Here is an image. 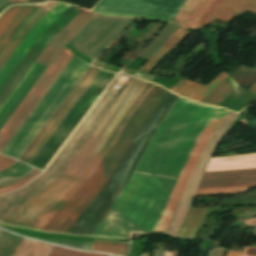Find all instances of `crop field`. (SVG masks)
<instances>
[{
	"label": "crop field",
	"instance_id": "1",
	"mask_svg": "<svg viewBox=\"0 0 256 256\" xmlns=\"http://www.w3.org/2000/svg\"><path fill=\"white\" fill-rule=\"evenodd\" d=\"M215 109L179 100L158 127L137 168L178 178L191 147ZM136 169L92 235L152 232L177 179Z\"/></svg>",
	"mask_w": 256,
	"mask_h": 256
},
{
	"label": "crop field",
	"instance_id": "2",
	"mask_svg": "<svg viewBox=\"0 0 256 256\" xmlns=\"http://www.w3.org/2000/svg\"><path fill=\"white\" fill-rule=\"evenodd\" d=\"M145 84L146 82L133 78L63 174L81 176L116 123ZM78 178L76 176L61 175L2 222L28 227Z\"/></svg>",
	"mask_w": 256,
	"mask_h": 256
},
{
	"label": "crop field",
	"instance_id": "3",
	"mask_svg": "<svg viewBox=\"0 0 256 256\" xmlns=\"http://www.w3.org/2000/svg\"><path fill=\"white\" fill-rule=\"evenodd\" d=\"M166 91L154 86L135 110L91 178L42 229L65 233L111 176L139 127Z\"/></svg>",
	"mask_w": 256,
	"mask_h": 256
},
{
	"label": "crop field",
	"instance_id": "4",
	"mask_svg": "<svg viewBox=\"0 0 256 256\" xmlns=\"http://www.w3.org/2000/svg\"><path fill=\"white\" fill-rule=\"evenodd\" d=\"M87 67L73 56L1 153L19 159Z\"/></svg>",
	"mask_w": 256,
	"mask_h": 256
},
{
	"label": "crop field",
	"instance_id": "5",
	"mask_svg": "<svg viewBox=\"0 0 256 256\" xmlns=\"http://www.w3.org/2000/svg\"><path fill=\"white\" fill-rule=\"evenodd\" d=\"M68 6L69 5L67 4L59 2L48 13L39 9L16 32V34L13 36V38L10 40V42L0 54V72L47 13L44 19L40 22V24L36 27L33 33L29 36V38L25 41L22 47L18 50V52L14 55L11 61L0 73V91L4 88L7 82L11 79V77L15 74L18 68L32 52V50L36 47V45L45 36V34L49 31V29L58 20V18L62 15V13L67 9Z\"/></svg>",
	"mask_w": 256,
	"mask_h": 256
},
{
	"label": "crop field",
	"instance_id": "6",
	"mask_svg": "<svg viewBox=\"0 0 256 256\" xmlns=\"http://www.w3.org/2000/svg\"><path fill=\"white\" fill-rule=\"evenodd\" d=\"M95 15L92 13H88L86 11H81L47 46L44 52L39 56L36 60V63L44 65L48 67L60 49ZM39 65L34 64L16 88L12 91L3 105L0 107V117L4 113V111L8 108L11 102L15 99L21 89L25 86L28 80L32 77L35 71L38 69ZM46 67L40 66L33 77L29 80L26 86L22 89L16 99L12 102L9 108L5 111V113L0 118V128L7 121L22 99L26 96L41 74L45 71Z\"/></svg>",
	"mask_w": 256,
	"mask_h": 256
},
{
	"label": "crop field",
	"instance_id": "7",
	"mask_svg": "<svg viewBox=\"0 0 256 256\" xmlns=\"http://www.w3.org/2000/svg\"><path fill=\"white\" fill-rule=\"evenodd\" d=\"M114 73L100 70L78 101L74 104L56 130L52 133L30 165L42 170L81 117L101 93Z\"/></svg>",
	"mask_w": 256,
	"mask_h": 256
},
{
	"label": "crop field",
	"instance_id": "8",
	"mask_svg": "<svg viewBox=\"0 0 256 256\" xmlns=\"http://www.w3.org/2000/svg\"><path fill=\"white\" fill-rule=\"evenodd\" d=\"M132 20L96 14L67 44L93 60Z\"/></svg>",
	"mask_w": 256,
	"mask_h": 256
},
{
	"label": "crop field",
	"instance_id": "9",
	"mask_svg": "<svg viewBox=\"0 0 256 256\" xmlns=\"http://www.w3.org/2000/svg\"><path fill=\"white\" fill-rule=\"evenodd\" d=\"M73 55L64 46L52 61L35 86L0 130V151Z\"/></svg>",
	"mask_w": 256,
	"mask_h": 256
},
{
	"label": "crop field",
	"instance_id": "10",
	"mask_svg": "<svg viewBox=\"0 0 256 256\" xmlns=\"http://www.w3.org/2000/svg\"><path fill=\"white\" fill-rule=\"evenodd\" d=\"M151 86L152 84H146V86L143 88V90L140 92V94L122 116V118L120 119L104 145L101 147L83 176L80 177L79 180L69 190H67L53 205H51L35 222H33L29 226L30 228L41 230L47 224V222L61 209V207L76 193V191L89 179V177L92 175L93 171L101 161L102 157L108 150L109 146L115 139L116 135L124 125L125 121L139 104V102L142 100V98L145 96V94L148 92V90L151 88Z\"/></svg>",
	"mask_w": 256,
	"mask_h": 256
},
{
	"label": "crop field",
	"instance_id": "11",
	"mask_svg": "<svg viewBox=\"0 0 256 256\" xmlns=\"http://www.w3.org/2000/svg\"><path fill=\"white\" fill-rule=\"evenodd\" d=\"M228 111L224 109H219V111L216 113V115L213 117L212 121H216L221 123V121L224 119V117L227 115ZM210 121V123L207 125V127L204 129V131L199 136L190 156L189 159L180 175V178L170 196V199L167 203V206L163 212V215L159 221V224L155 230V232L158 231H164L167 227L177 205L179 198L189 180V177L198 161V158L208 140L210 135L214 132V130L218 127L219 123H215Z\"/></svg>",
	"mask_w": 256,
	"mask_h": 256
},
{
	"label": "crop field",
	"instance_id": "12",
	"mask_svg": "<svg viewBox=\"0 0 256 256\" xmlns=\"http://www.w3.org/2000/svg\"><path fill=\"white\" fill-rule=\"evenodd\" d=\"M98 71L99 69L90 66L88 67V69L79 79V81L76 83V85L64 99V101L61 103V105L58 107L55 113L51 116V118L48 120V122L45 124V126L42 128V130L39 132V134L36 136V138L24 152V154L21 156L20 160L28 164L30 163V161L33 159V157L36 155V153L39 151V149L51 135V133L55 130V128L58 126V124L61 122L64 116L73 106V104L77 101V99L86 89V87L98 73Z\"/></svg>",
	"mask_w": 256,
	"mask_h": 256
},
{
	"label": "crop field",
	"instance_id": "13",
	"mask_svg": "<svg viewBox=\"0 0 256 256\" xmlns=\"http://www.w3.org/2000/svg\"><path fill=\"white\" fill-rule=\"evenodd\" d=\"M256 184V169L205 172L198 188Z\"/></svg>",
	"mask_w": 256,
	"mask_h": 256
},
{
	"label": "crop field",
	"instance_id": "14",
	"mask_svg": "<svg viewBox=\"0 0 256 256\" xmlns=\"http://www.w3.org/2000/svg\"><path fill=\"white\" fill-rule=\"evenodd\" d=\"M38 10L32 5L11 6L0 18V52L15 32Z\"/></svg>",
	"mask_w": 256,
	"mask_h": 256
},
{
	"label": "crop field",
	"instance_id": "15",
	"mask_svg": "<svg viewBox=\"0 0 256 256\" xmlns=\"http://www.w3.org/2000/svg\"><path fill=\"white\" fill-rule=\"evenodd\" d=\"M183 27H179L178 30L172 35V37L166 42V44L142 67L139 68L135 75L144 78L150 73L168 54H170L189 34Z\"/></svg>",
	"mask_w": 256,
	"mask_h": 256
},
{
	"label": "crop field",
	"instance_id": "16",
	"mask_svg": "<svg viewBox=\"0 0 256 256\" xmlns=\"http://www.w3.org/2000/svg\"><path fill=\"white\" fill-rule=\"evenodd\" d=\"M227 76V74H225L224 72L222 74H220L216 79L219 80L220 82ZM215 80V79H214ZM213 80V81H214ZM212 81V82H213ZM184 81H180L179 83H177L176 85L179 86L181 83H183ZM211 82V83H212ZM219 82V83H220ZM210 83V84H211ZM218 83V81H214L211 85L208 84L206 87L202 86V85H198V84H194L191 82H187L185 81L183 84H181L179 87L174 86L171 91L185 97L188 99H192L195 101L200 102L210 91L207 90L206 88L208 87V89H212L216 84ZM218 83V84H219ZM217 84V85H218ZM216 85V86H217ZM215 86V87H216ZM214 87V88H215ZM213 88V89H214Z\"/></svg>",
	"mask_w": 256,
	"mask_h": 256
},
{
	"label": "crop field",
	"instance_id": "17",
	"mask_svg": "<svg viewBox=\"0 0 256 256\" xmlns=\"http://www.w3.org/2000/svg\"><path fill=\"white\" fill-rule=\"evenodd\" d=\"M208 208L190 209L177 236L192 239Z\"/></svg>",
	"mask_w": 256,
	"mask_h": 256
},
{
	"label": "crop field",
	"instance_id": "18",
	"mask_svg": "<svg viewBox=\"0 0 256 256\" xmlns=\"http://www.w3.org/2000/svg\"><path fill=\"white\" fill-rule=\"evenodd\" d=\"M179 25L168 23L157 37L138 56L149 60L177 30Z\"/></svg>",
	"mask_w": 256,
	"mask_h": 256
},
{
	"label": "crop field",
	"instance_id": "19",
	"mask_svg": "<svg viewBox=\"0 0 256 256\" xmlns=\"http://www.w3.org/2000/svg\"><path fill=\"white\" fill-rule=\"evenodd\" d=\"M226 78L234 86H239L236 83H234L228 76ZM226 78L214 90H212L201 102L216 105L229 93H231L236 87L231 85Z\"/></svg>",
	"mask_w": 256,
	"mask_h": 256
},
{
	"label": "crop field",
	"instance_id": "20",
	"mask_svg": "<svg viewBox=\"0 0 256 256\" xmlns=\"http://www.w3.org/2000/svg\"><path fill=\"white\" fill-rule=\"evenodd\" d=\"M23 238L2 231L0 234V256H13Z\"/></svg>",
	"mask_w": 256,
	"mask_h": 256
},
{
	"label": "crop field",
	"instance_id": "21",
	"mask_svg": "<svg viewBox=\"0 0 256 256\" xmlns=\"http://www.w3.org/2000/svg\"><path fill=\"white\" fill-rule=\"evenodd\" d=\"M127 244L113 243V242H94L91 251L113 253L117 255L126 256L128 250Z\"/></svg>",
	"mask_w": 256,
	"mask_h": 256
},
{
	"label": "crop field",
	"instance_id": "22",
	"mask_svg": "<svg viewBox=\"0 0 256 256\" xmlns=\"http://www.w3.org/2000/svg\"><path fill=\"white\" fill-rule=\"evenodd\" d=\"M254 186L255 185L197 189L194 196L242 193V192H246L247 188L254 187Z\"/></svg>",
	"mask_w": 256,
	"mask_h": 256
},
{
	"label": "crop field",
	"instance_id": "23",
	"mask_svg": "<svg viewBox=\"0 0 256 256\" xmlns=\"http://www.w3.org/2000/svg\"><path fill=\"white\" fill-rule=\"evenodd\" d=\"M51 256H107V255L75 252V251L67 250V249L56 246Z\"/></svg>",
	"mask_w": 256,
	"mask_h": 256
},
{
	"label": "crop field",
	"instance_id": "24",
	"mask_svg": "<svg viewBox=\"0 0 256 256\" xmlns=\"http://www.w3.org/2000/svg\"><path fill=\"white\" fill-rule=\"evenodd\" d=\"M40 173V171L36 172L35 174H33L32 176H30L29 178H27L26 180L16 184V185H13V186H9V187H6V188H3V189H0V194L1 193H5V192H9V191H12V190H15V189H18L20 187H22L23 185H25L26 183H28L29 181H31L33 178H35L38 174Z\"/></svg>",
	"mask_w": 256,
	"mask_h": 256
},
{
	"label": "crop field",
	"instance_id": "25",
	"mask_svg": "<svg viewBox=\"0 0 256 256\" xmlns=\"http://www.w3.org/2000/svg\"><path fill=\"white\" fill-rule=\"evenodd\" d=\"M16 160L10 158L0 164V171L13 164Z\"/></svg>",
	"mask_w": 256,
	"mask_h": 256
},
{
	"label": "crop field",
	"instance_id": "26",
	"mask_svg": "<svg viewBox=\"0 0 256 256\" xmlns=\"http://www.w3.org/2000/svg\"><path fill=\"white\" fill-rule=\"evenodd\" d=\"M243 256H256V248H246Z\"/></svg>",
	"mask_w": 256,
	"mask_h": 256
},
{
	"label": "crop field",
	"instance_id": "27",
	"mask_svg": "<svg viewBox=\"0 0 256 256\" xmlns=\"http://www.w3.org/2000/svg\"><path fill=\"white\" fill-rule=\"evenodd\" d=\"M165 251L161 249L154 250L153 256H164Z\"/></svg>",
	"mask_w": 256,
	"mask_h": 256
},
{
	"label": "crop field",
	"instance_id": "28",
	"mask_svg": "<svg viewBox=\"0 0 256 256\" xmlns=\"http://www.w3.org/2000/svg\"><path fill=\"white\" fill-rule=\"evenodd\" d=\"M243 252H232V251H229L227 256H242Z\"/></svg>",
	"mask_w": 256,
	"mask_h": 256
},
{
	"label": "crop field",
	"instance_id": "29",
	"mask_svg": "<svg viewBox=\"0 0 256 256\" xmlns=\"http://www.w3.org/2000/svg\"><path fill=\"white\" fill-rule=\"evenodd\" d=\"M92 65L102 68L105 65V63L95 60Z\"/></svg>",
	"mask_w": 256,
	"mask_h": 256
},
{
	"label": "crop field",
	"instance_id": "30",
	"mask_svg": "<svg viewBox=\"0 0 256 256\" xmlns=\"http://www.w3.org/2000/svg\"><path fill=\"white\" fill-rule=\"evenodd\" d=\"M145 79H148V80L152 81L153 77L147 75V76L145 77Z\"/></svg>",
	"mask_w": 256,
	"mask_h": 256
},
{
	"label": "crop field",
	"instance_id": "31",
	"mask_svg": "<svg viewBox=\"0 0 256 256\" xmlns=\"http://www.w3.org/2000/svg\"><path fill=\"white\" fill-rule=\"evenodd\" d=\"M172 256H178V251H173V255Z\"/></svg>",
	"mask_w": 256,
	"mask_h": 256
},
{
	"label": "crop field",
	"instance_id": "32",
	"mask_svg": "<svg viewBox=\"0 0 256 256\" xmlns=\"http://www.w3.org/2000/svg\"><path fill=\"white\" fill-rule=\"evenodd\" d=\"M6 159H7V157H5V158H3L2 160H0V162L4 161V160H6Z\"/></svg>",
	"mask_w": 256,
	"mask_h": 256
},
{
	"label": "crop field",
	"instance_id": "33",
	"mask_svg": "<svg viewBox=\"0 0 256 256\" xmlns=\"http://www.w3.org/2000/svg\"><path fill=\"white\" fill-rule=\"evenodd\" d=\"M2 157H4V156L1 155V156H0V159H1Z\"/></svg>",
	"mask_w": 256,
	"mask_h": 256
},
{
	"label": "crop field",
	"instance_id": "34",
	"mask_svg": "<svg viewBox=\"0 0 256 256\" xmlns=\"http://www.w3.org/2000/svg\"><path fill=\"white\" fill-rule=\"evenodd\" d=\"M0 233H1V230H0Z\"/></svg>",
	"mask_w": 256,
	"mask_h": 256
}]
</instances>
